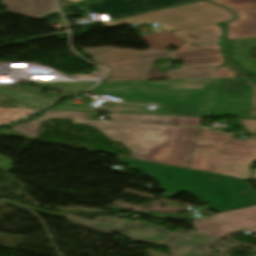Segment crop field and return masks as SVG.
<instances>
[{
  "label": "crop field",
  "mask_w": 256,
  "mask_h": 256,
  "mask_svg": "<svg viewBox=\"0 0 256 256\" xmlns=\"http://www.w3.org/2000/svg\"><path fill=\"white\" fill-rule=\"evenodd\" d=\"M218 79H181L167 82L147 81H106L91 91L125 98L126 102H153L158 105V112H149L145 106L114 103L110 109L78 107L60 104L50 110H69L107 113L143 114L194 117L206 89Z\"/></svg>",
  "instance_id": "obj_1"
},
{
  "label": "crop field",
  "mask_w": 256,
  "mask_h": 256,
  "mask_svg": "<svg viewBox=\"0 0 256 256\" xmlns=\"http://www.w3.org/2000/svg\"><path fill=\"white\" fill-rule=\"evenodd\" d=\"M123 163L155 179L164 191H182L209 205L206 209L216 212L256 205L242 195L250 188L246 179L208 172L172 167L152 162L118 157Z\"/></svg>",
  "instance_id": "obj_2"
},
{
  "label": "crop field",
  "mask_w": 256,
  "mask_h": 256,
  "mask_svg": "<svg viewBox=\"0 0 256 256\" xmlns=\"http://www.w3.org/2000/svg\"><path fill=\"white\" fill-rule=\"evenodd\" d=\"M96 127L133 151V158L186 168L199 128L74 121ZM98 127H101L100 129Z\"/></svg>",
  "instance_id": "obj_3"
},
{
  "label": "crop field",
  "mask_w": 256,
  "mask_h": 256,
  "mask_svg": "<svg viewBox=\"0 0 256 256\" xmlns=\"http://www.w3.org/2000/svg\"><path fill=\"white\" fill-rule=\"evenodd\" d=\"M254 160L255 138L238 140L230 134L200 128L187 168L249 179Z\"/></svg>",
  "instance_id": "obj_4"
},
{
  "label": "crop field",
  "mask_w": 256,
  "mask_h": 256,
  "mask_svg": "<svg viewBox=\"0 0 256 256\" xmlns=\"http://www.w3.org/2000/svg\"><path fill=\"white\" fill-rule=\"evenodd\" d=\"M189 33H195L202 37L201 41L188 38ZM222 35L221 29L217 24L203 26L182 31H175L174 36L186 40L188 43L197 41L202 44L201 47L192 48L188 43L173 52V59H182L184 64L182 68L166 71L169 79L180 78H219L233 77L234 72L227 67L216 68L223 64L225 59L222 57L220 46H217L219 37Z\"/></svg>",
  "instance_id": "obj_5"
},
{
  "label": "crop field",
  "mask_w": 256,
  "mask_h": 256,
  "mask_svg": "<svg viewBox=\"0 0 256 256\" xmlns=\"http://www.w3.org/2000/svg\"><path fill=\"white\" fill-rule=\"evenodd\" d=\"M222 114L256 119V82L248 78H221L214 84L196 116Z\"/></svg>",
  "instance_id": "obj_6"
},
{
  "label": "crop field",
  "mask_w": 256,
  "mask_h": 256,
  "mask_svg": "<svg viewBox=\"0 0 256 256\" xmlns=\"http://www.w3.org/2000/svg\"><path fill=\"white\" fill-rule=\"evenodd\" d=\"M229 10L215 5L207 0L175 8L158 10L155 12L121 19L102 24L106 27L123 23H158L164 30L186 29L209 25L235 19Z\"/></svg>",
  "instance_id": "obj_7"
},
{
  "label": "crop field",
  "mask_w": 256,
  "mask_h": 256,
  "mask_svg": "<svg viewBox=\"0 0 256 256\" xmlns=\"http://www.w3.org/2000/svg\"><path fill=\"white\" fill-rule=\"evenodd\" d=\"M58 215L68 219V221L73 224H77L106 234L111 231L118 232L129 239L158 246L163 245L173 235L163 228L155 227L148 223H130L125 220L113 219L106 216H100L94 221L89 222L72 215Z\"/></svg>",
  "instance_id": "obj_8"
},
{
  "label": "crop field",
  "mask_w": 256,
  "mask_h": 256,
  "mask_svg": "<svg viewBox=\"0 0 256 256\" xmlns=\"http://www.w3.org/2000/svg\"><path fill=\"white\" fill-rule=\"evenodd\" d=\"M191 0H102L95 3L87 4L86 13L102 14L101 21H107L120 17H125L140 12L189 2ZM80 9L76 4L62 9L65 15Z\"/></svg>",
  "instance_id": "obj_9"
},
{
  "label": "crop field",
  "mask_w": 256,
  "mask_h": 256,
  "mask_svg": "<svg viewBox=\"0 0 256 256\" xmlns=\"http://www.w3.org/2000/svg\"><path fill=\"white\" fill-rule=\"evenodd\" d=\"M163 246L171 249L172 256H225L236 245L219 241L195 232L178 230ZM210 246L216 247L220 254H208Z\"/></svg>",
  "instance_id": "obj_10"
},
{
  "label": "crop field",
  "mask_w": 256,
  "mask_h": 256,
  "mask_svg": "<svg viewBox=\"0 0 256 256\" xmlns=\"http://www.w3.org/2000/svg\"><path fill=\"white\" fill-rule=\"evenodd\" d=\"M95 58V62H101L112 69L132 68L139 66H153V60L171 57L172 53L164 50L137 52L133 50H116L114 48H102L86 50Z\"/></svg>",
  "instance_id": "obj_11"
},
{
  "label": "crop field",
  "mask_w": 256,
  "mask_h": 256,
  "mask_svg": "<svg viewBox=\"0 0 256 256\" xmlns=\"http://www.w3.org/2000/svg\"><path fill=\"white\" fill-rule=\"evenodd\" d=\"M234 11L238 19L228 23L227 39L256 38V0H210Z\"/></svg>",
  "instance_id": "obj_12"
},
{
  "label": "crop field",
  "mask_w": 256,
  "mask_h": 256,
  "mask_svg": "<svg viewBox=\"0 0 256 256\" xmlns=\"http://www.w3.org/2000/svg\"><path fill=\"white\" fill-rule=\"evenodd\" d=\"M3 5L8 7L12 14L29 18L43 16L56 10L53 0H3Z\"/></svg>",
  "instance_id": "obj_13"
},
{
  "label": "crop field",
  "mask_w": 256,
  "mask_h": 256,
  "mask_svg": "<svg viewBox=\"0 0 256 256\" xmlns=\"http://www.w3.org/2000/svg\"><path fill=\"white\" fill-rule=\"evenodd\" d=\"M0 94L19 100L24 103L28 109H39L58 97L64 96L56 93L40 94L39 89L23 87L17 91H12L4 87H0Z\"/></svg>",
  "instance_id": "obj_14"
},
{
  "label": "crop field",
  "mask_w": 256,
  "mask_h": 256,
  "mask_svg": "<svg viewBox=\"0 0 256 256\" xmlns=\"http://www.w3.org/2000/svg\"><path fill=\"white\" fill-rule=\"evenodd\" d=\"M232 46L229 57L241 68L256 76V60L250 57L249 50L256 46V39L227 40Z\"/></svg>",
  "instance_id": "obj_15"
},
{
  "label": "crop field",
  "mask_w": 256,
  "mask_h": 256,
  "mask_svg": "<svg viewBox=\"0 0 256 256\" xmlns=\"http://www.w3.org/2000/svg\"><path fill=\"white\" fill-rule=\"evenodd\" d=\"M225 226L239 229L256 226V206L221 212L211 217Z\"/></svg>",
  "instance_id": "obj_16"
},
{
  "label": "crop field",
  "mask_w": 256,
  "mask_h": 256,
  "mask_svg": "<svg viewBox=\"0 0 256 256\" xmlns=\"http://www.w3.org/2000/svg\"><path fill=\"white\" fill-rule=\"evenodd\" d=\"M202 118H183V117H163V116H143V115H122L112 114L110 121L116 122H135V123H155L175 125L199 126Z\"/></svg>",
  "instance_id": "obj_17"
},
{
  "label": "crop field",
  "mask_w": 256,
  "mask_h": 256,
  "mask_svg": "<svg viewBox=\"0 0 256 256\" xmlns=\"http://www.w3.org/2000/svg\"><path fill=\"white\" fill-rule=\"evenodd\" d=\"M195 222L197 221L192 222V225L197 231L209 234L217 238L225 235L228 232L236 231V229H230L228 227L222 226L209 218L201 219L197 223ZM212 229H215V231H212ZM213 232H216V234H213Z\"/></svg>",
  "instance_id": "obj_18"
},
{
  "label": "crop field",
  "mask_w": 256,
  "mask_h": 256,
  "mask_svg": "<svg viewBox=\"0 0 256 256\" xmlns=\"http://www.w3.org/2000/svg\"><path fill=\"white\" fill-rule=\"evenodd\" d=\"M96 82H60V83H41L45 87L64 90L69 93L83 91L93 86Z\"/></svg>",
  "instance_id": "obj_19"
},
{
  "label": "crop field",
  "mask_w": 256,
  "mask_h": 256,
  "mask_svg": "<svg viewBox=\"0 0 256 256\" xmlns=\"http://www.w3.org/2000/svg\"><path fill=\"white\" fill-rule=\"evenodd\" d=\"M147 68L112 71L108 80H146Z\"/></svg>",
  "instance_id": "obj_20"
},
{
  "label": "crop field",
  "mask_w": 256,
  "mask_h": 256,
  "mask_svg": "<svg viewBox=\"0 0 256 256\" xmlns=\"http://www.w3.org/2000/svg\"><path fill=\"white\" fill-rule=\"evenodd\" d=\"M47 118H59V119H77V120H90L89 113L80 112H67V111H47L42 115Z\"/></svg>",
  "instance_id": "obj_21"
},
{
  "label": "crop field",
  "mask_w": 256,
  "mask_h": 256,
  "mask_svg": "<svg viewBox=\"0 0 256 256\" xmlns=\"http://www.w3.org/2000/svg\"><path fill=\"white\" fill-rule=\"evenodd\" d=\"M45 121H48V120L39 119L38 121L28 122L23 125L11 127V129L20 131L27 136L37 139L39 128H40V123L45 122Z\"/></svg>",
  "instance_id": "obj_22"
},
{
  "label": "crop field",
  "mask_w": 256,
  "mask_h": 256,
  "mask_svg": "<svg viewBox=\"0 0 256 256\" xmlns=\"http://www.w3.org/2000/svg\"><path fill=\"white\" fill-rule=\"evenodd\" d=\"M33 111L30 110H14V109H0V121L5 123L13 121L22 116H25Z\"/></svg>",
  "instance_id": "obj_23"
},
{
  "label": "crop field",
  "mask_w": 256,
  "mask_h": 256,
  "mask_svg": "<svg viewBox=\"0 0 256 256\" xmlns=\"http://www.w3.org/2000/svg\"><path fill=\"white\" fill-rule=\"evenodd\" d=\"M247 132L256 134V120H241Z\"/></svg>",
  "instance_id": "obj_24"
},
{
  "label": "crop field",
  "mask_w": 256,
  "mask_h": 256,
  "mask_svg": "<svg viewBox=\"0 0 256 256\" xmlns=\"http://www.w3.org/2000/svg\"><path fill=\"white\" fill-rule=\"evenodd\" d=\"M0 201H4V202L11 203V204H15V205H18V206H21V207H25V208H28V209H31V210H35V211H38V212H42V213H45V214H49V215L53 214V213H49V212L44 211V210H40V209H37V208L26 206V205H23V204H20V203H16V202H13V201H10V200H6V199H3V198H1Z\"/></svg>",
  "instance_id": "obj_25"
},
{
  "label": "crop field",
  "mask_w": 256,
  "mask_h": 256,
  "mask_svg": "<svg viewBox=\"0 0 256 256\" xmlns=\"http://www.w3.org/2000/svg\"><path fill=\"white\" fill-rule=\"evenodd\" d=\"M76 79H97L99 78L98 71L96 72H91V75H74L72 76Z\"/></svg>",
  "instance_id": "obj_26"
},
{
  "label": "crop field",
  "mask_w": 256,
  "mask_h": 256,
  "mask_svg": "<svg viewBox=\"0 0 256 256\" xmlns=\"http://www.w3.org/2000/svg\"><path fill=\"white\" fill-rule=\"evenodd\" d=\"M10 161L6 160L4 157L0 156V169L3 170H11L12 168L9 166L10 165Z\"/></svg>",
  "instance_id": "obj_27"
},
{
  "label": "crop field",
  "mask_w": 256,
  "mask_h": 256,
  "mask_svg": "<svg viewBox=\"0 0 256 256\" xmlns=\"http://www.w3.org/2000/svg\"><path fill=\"white\" fill-rule=\"evenodd\" d=\"M57 18H60V15H59L58 11H56V12H54V13H52V14H49V15H47V16H45V17L39 18V19H51V20H55V19H57Z\"/></svg>",
  "instance_id": "obj_28"
},
{
  "label": "crop field",
  "mask_w": 256,
  "mask_h": 256,
  "mask_svg": "<svg viewBox=\"0 0 256 256\" xmlns=\"http://www.w3.org/2000/svg\"><path fill=\"white\" fill-rule=\"evenodd\" d=\"M244 194H245L248 198H250V199L256 201V192H255V191L249 190V191H247V192H244Z\"/></svg>",
  "instance_id": "obj_29"
},
{
  "label": "crop field",
  "mask_w": 256,
  "mask_h": 256,
  "mask_svg": "<svg viewBox=\"0 0 256 256\" xmlns=\"http://www.w3.org/2000/svg\"><path fill=\"white\" fill-rule=\"evenodd\" d=\"M176 193L178 192H166L164 195H162L163 197H168L171 198L172 196H174Z\"/></svg>",
  "instance_id": "obj_30"
},
{
  "label": "crop field",
  "mask_w": 256,
  "mask_h": 256,
  "mask_svg": "<svg viewBox=\"0 0 256 256\" xmlns=\"http://www.w3.org/2000/svg\"><path fill=\"white\" fill-rule=\"evenodd\" d=\"M110 71H104V79L105 80L109 76Z\"/></svg>",
  "instance_id": "obj_31"
},
{
  "label": "crop field",
  "mask_w": 256,
  "mask_h": 256,
  "mask_svg": "<svg viewBox=\"0 0 256 256\" xmlns=\"http://www.w3.org/2000/svg\"><path fill=\"white\" fill-rule=\"evenodd\" d=\"M99 67H101L103 70L110 69V68H108V67H106L104 65H100Z\"/></svg>",
  "instance_id": "obj_32"
},
{
  "label": "crop field",
  "mask_w": 256,
  "mask_h": 256,
  "mask_svg": "<svg viewBox=\"0 0 256 256\" xmlns=\"http://www.w3.org/2000/svg\"><path fill=\"white\" fill-rule=\"evenodd\" d=\"M249 231L255 232L256 233V228L250 229Z\"/></svg>",
  "instance_id": "obj_33"
},
{
  "label": "crop field",
  "mask_w": 256,
  "mask_h": 256,
  "mask_svg": "<svg viewBox=\"0 0 256 256\" xmlns=\"http://www.w3.org/2000/svg\"><path fill=\"white\" fill-rule=\"evenodd\" d=\"M253 180H256V174H254V177L252 178Z\"/></svg>",
  "instance_id": "obj_34"
},
{
  "label": "crop field",
  "mask_w": 256,
  "mask_h": 256,
  "mask_svg": "<svg viewBox=\"0 0 256 256\" xmlns=\"http://www.w3.org/2000/svg\"><path fill=\"white\" fill-rule=\"evenodd\" d=\"M72 1H74V2H80L81 0H72Z\"/></svg>",
  "instance_id": "obj_35"
},
{
  "label": "crop field",
  "mask_w": 256,
  "mask_h": 256,
  "mask_svg": "<svg viewBox=\"0 0 256 256\" xmlns=\"http://www.w3.org/2000/svg\"><path fill=\"white\" fill-rule=\"evenodd\" d=\"M254 173H256V169L254 170Z\"/></svg>",
  "instance_id": "obj_36"
},
{
  "label": "crop field",
  "mask_w": 256,
  "mask_h": 256,
  "mask_svg": "<svg viewBox=\"0 0 256 256\" xmlns=\"http://www.w3.org/2000/svg\"><path fill=\"white\" fill-rule=\"evenodd\" d=\"M0 124H1V122H0Z\"/></svg>",
  "instance_id": "obj_37"
}]
</instances>
